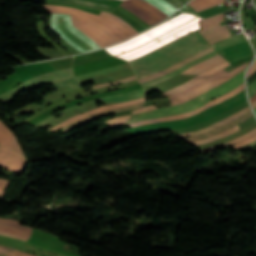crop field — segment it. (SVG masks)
<instances>
[{
    "mask_svg": "<svg viewBox=\"0 0 256 256\" xmlns=\"http://www.w3.org/2000/svg\"><path fill=\"white\" fill-rule=\"evenodd\" d=\"M255 140H256V134H255L254 136H252L251 138H249V139L243 140V141H241V142H238V143L232 145V147H234L235 149H237V148H239V147H241V146H243V145H246V144H248V143H250V142H253V141H255Z\"/></svg>",
    "mask_w": 256,
    "mask_h": 256,
    "instance_id": "30",
    "label": "crop field"
},
{
    "mask_svg": "<svg viewBox=\"0 0 256 256\" xmlns=\"http://www.w3.org/2000/svg\"><path fill=\"white\" fill-rule=\"evenodd\" d=\"M199 32L209 44L231 36L228 33L225 25L220 26L219 23L214 26L199 30Z\"/></svg>",
    "mask_w": 256,
    "mask_h": 256,
    "instance_id": "13",
    "label": "crop field"
},
{
    "mask_svg": "<svg viewBox=\"0 0 256 256\" xmlns=\"http://www.w3.org/2000/svg\"><path fill=\"white\" fill-rule=\"evenodd\" d=\"M218 52L222 56H224L229 62L235 61V60H238V59H242V58L248 57V56L253 54L252 49H251V47H250V45L248 44L247 41L243 42V43H240V44L232 45V46L227 47V48H225L223 50H220ZM238 61H240V60H238ZM238 61H235V62H238ZM232 63H234V62H232Z\"/></svg>",
    "mask_w": 256,
    "mask_h": 256,
    "instance_id": "11",
    "label": "crop field"
},
{
    "mask_svg": "<svg viewBox=\"0 0 256 256\" xmlns=\"http://www.w3.org/2000/svg\"><path fill=\"white\" fill-rule=\"evenodd\" d=\"M146 1L156 6L158 9H160L162 12H164L168 16L177 10L174 7L167 4L166 2H164L163 0H146Z\"/></svg>",
    "mask_w": 256,
    "mask_h": 256,
    "instance_id": "24",
    "label": "crop field"
},
{
    "mask_svg": "<svg viewBox=\"0 0 256 256\" xmlns=\"http://www.w3.org/2000/svg\"><path fill=\"white\" fill-rule=\"evenodd\" d=\"M239 130V126H234L233 128L229 129V130H226L224 132H221V133H218L212 137H209V138H206V139H203V140H196V141H190V143L194 144V145H198V144H203V143H208V142H211L213 140H216L218 138H221V137H225L231 133H234L236 131Z\"/></svg>",
    "mask_w": 256,
    "mask_h": 256,
    "instance_id": "23",
    "label": "crop field"
},
{
    "mask_svg": "<svg viewBox=\"0 0 256 256\" xmlns=\"http://www.w3.org/2000/svg\"><path fill=\"white\" fill-rule=\"evenodd\" d=\"M198 20H200L199 17L183 24L182 26L174 29L173 31L135 49V50H132V51H128V52H125V53H122V54H119V55H116L120 58H124L128 61L130 60H133V59H136L140 56H143L153 50H155L156 48L184 35V34H187L191 31H194V30H197L199 29V25H198Z\"/></svg>",
    "mask_w": 256,
    "mask_h": 256,
    "instance_id": "5",
    "label": "crop field"
},
{
    "mask_svg": "<svg viewBox=\"0 0 256 256\" xmlns=\"http://www.w3.org/2000/svg\"><path fill=\"white\" fill-rule=\"evenodd\" d=\"M224 14V13H223ZM223 14H222V21H223Z\"/></svg>",
    "mask_w": 256,
    "mask_h": 256,
    "instance_id": "42",
    "label": "crop field"
},
{
    "mask_svg": "<svg viewBox=\"0 0 256 256\" xmlns=\"http://www.w3.org/2000/svg\"><path fill=\"white\" fill-rule=\"evenodd\" d=\"M143 96H145L144 89H139L137 91H130V92L115 95V96L103 97L102 100L105 103L110 104V103L130 100V99H137Z\"/></svg>",
    "mask_w": 256,
    "mask_h": 256,
    "instance_id": "19",
    "label": "crop field"
},
{
    "mask_svg": "<svg viewBox=\"0 0 256 256\" xmlns=\"http://www.w3.org/2000/svg\"><path fill=\"white\" fill-rule=\"evenodd\" d=\"M0 230L27 236V237H30V235H31V232H29V231H25L22 229H18V228L6 226V225H0Z\"/></svg>",
    "mask_w": 256,
    "mask_h": 256,
    "instance_id": "26",
    "label": "crop field"
},
{
    "mask_svg": "<svg viewBox=\"0 0 256 256\" xmlns=\"http://www.w3.org/2000/svg\"><path fill=\"white\" fill-rule=\"evenodd\" d=\"M244 71L245 69L239 72L238 74H236L233 78H231L226 83L183 104L173 106V107L159 108V109H156L153 105H150V106L142 107L141 109H138V110L130 111L131 115L117 117V118L108 120L106 122L112 128H114L117 126H121L122 124L133 122V121L145 120V119H150L155 117H162V116H168V115H174V114L192 111L204 105L211 99L229 92L231 89L235 88L236 86L244 82V78H243Z\"/></svg>",
    "mask_w": 256,
    "mask_h": 256,
    "instance_id": "2",
    "label": "crop field"
},
{
    "mask_svg": "<svg viewBox=\"0 0 256 256\" xmlns=\"http://www.w3.org/2000/svg\"><path fill=\"white\" fill-rule=\"evenodd\" d=\"M255 113H256V109H254Z\"/></svg>",
    "mask_w": 256,
    "mask_h": 256,
    "instance_id": "43",
    "label": "crop field"
},
{
    "mask_svg": "<svg viewBox=\"0 0 256 256\" xmlns=\"http://www.w3.org/2000/svg\"><path fill=\"white\" fill-rule=\"evenodd\" d=\"M251 105H252L253 109L256 108V101Z\"/></svg>",
    "mask_w": 256,
    "mask_h": 256,
    "instance_id": "41",
    "label": "crop field"
},
{
    "mask_svg": "<svg viewBox=\"0 0 256 256\" xmlns=\"http://www.w3.org/2000/svg\"><path fill=\"white\" fill-rule=\"evenodd\" d=\"M70 76H73L71 67L67 68V69H63V70L49 72L47 74H42L34 79H31L29 81H26V82L20 84L17 87H15L14 89L0 95V100L9 102V101H11V99L13 97H15L22 90L39 87L40 85H42L46 82H50V81H54L57 79L70 77Z\"/></svg>",
    "mask_w": 256,
    "mask_h": 256,
    "instance_id": "7",
    "label": "crop field"
},
{
    "mask_svg": "<svg viewBox=\"0 0 256 256\" xmlns=\"http://www.w3.org/2000/svg\"><path fill=\"white\" fill-rule=\"evenodd\" d=\"M224 147H226V143L221 144V145H217V146H214V147L202 149V150L205 151V152H208V151H213V150L221 149V148H224Z\"/></svg>",
    "mask_w": 256,
    "mask_h": 256,
    "instance_id": "34",
    "label": "crop field"
},
{
    "mask_svg": "<svg viewBox=\"0 0 256 256\" xmlns=\"http://www.w3.org/2000/svg\"><path fill=\"white\" fill-rule=\"evenodd\" d=\"M10 250H12V248L0 245V255L4 256V254Z\"/></svg>",
    "mask_w": 256,
    "mask_h": 256,
    "instance_id": "37",
    "label": "crop field"
},
{
    "mask_svg": "<svg viewBox=\"0 0 256 256\" xmlns=\"http://www.w3.org/2000/svg\"><path fill=\"white\" fill-rule=\"evenodd\" d=\"M145 98V97H144ZM144 98H140V99H137V100H134V101H128V102H122V103H118V104H114V105H105V106H101L97 109H94L92 111H89V112H85V113H81L75 117H72L52 128H50V130H57L61 127H64L76 120H79L87 115H90V114H94V113H98V112H102V111H105V110H108V109H113V108H118V107H121V106H125V105H129V104H134V103H140V102H143L144 101Z\"/></svg>",
    "mask_w": 256,
    "mask_h": 256,
    "instance_id": "12",
    "label": "crop field"
},
{
    "mask_svg": "<svg viewBox=\"0 0 256 256\" xmlns=\"http://www.w3.org/2000/svg\"><path fill=\"white\" fill-rule=\"evenodd\" d=\"M255 133H256V129H254V130L248 132L247 134H245V135H243V136H241V137H239V138H237V139H234V140L229 141V142H228V146H229V145H232V144H234V143H236V142H238V141H240V140L246 139V138L250 137L251 135H253V134H255Z\"/></svg>",
    "mask_w": 256,
    "mask_h": 256,
    "instance_id": "29",
    "label": "crop field"
},
{
    "mask_svg": "<svg viewBox=\"0 0 256 256\" xmlns=\"http://www.w3.org/2000/svg\"><path fill=\"white\" fill-rule=\"evenodd\" d=\"M228 65H230V63L228 61H226V62H224V63H222V64H220V65H218V66H216V67H214V68H212V69H210V70H208V71H206V72H204V73H202V74H200L198 76H196L195 78H193V79H191V80L181 84L180 86H178V87H176V88H174L172 90H169V91H167L165 93H162V94H164L166 96H169V95H173V94H175L177 92H180V91H182V90H184V89L194 85L195 83H197L201 79H203V78H205V77L215 73L216 71H218L220 69L225 68Z\"/></svg>",
    "mask_w": 256,
    "mask_h": 256,
    "instance_id": "14",
    "label": "crop field"
},
{
    "mask_svg": "<svg viewBox=\"0 0 256 256\" xmlns=\"http://www.w3.org/2000/svg\"><path fill=\"white\" fill-rule=\"evenodd\" d=\"M167 1H169L171 4H173L177 8L181 7L187 2L185 0H167Z\"/></svg>",
    "mask_w": 256,
    "mask_h": 256,
    "instance_id": "32",
    "label": "crop field"
},
{
    "mask_svg": "<svg viewBox=\"0 0 256 256\" xmlns=\"http://www.w3.org/2000/svg\"><path fill=\"white\" fill-rule=\"evenodd\" d=\"M256 100V94L250 99L251 103H253Z\"/></svg>",
    "mask_w": 256,
    "mask_h": 256,
    "instance_id": "40",
    "label": "crop field"
},
{
    "mask_svg": "<svg viewBox=\"0 0 256 256\" xmlns=\"http://www.w3.org/2000/svg\"><path fill=\"white\" fill-rule=\"evenodd\" d=\"M121 6L135 13L151 26L168 17L143 0H126L122 2Z\"/></svg>",
    "mask_w": 256,
    "mask_h": 256,
    "instance_id": "8",
    "label": "crop field"
},
{
    "mask_svg": "<svg viewBox=\"0 0 256 256\" xmlns=\"http://www.w3.org/2000/svg\"><path fill=\"white\" fill-rule=\"evenodd\" d=\"M26 162L24 154L0 145V168L21 174Z\"/></svg>",
    "mask_w": 256,
    "mask_h": 256,
    "instance_id": "9",
    "label": "crop field"
},
{
    "mask_svg": "<svg viewBox=\"0 0 256 256\" xmlns=\"http://www.w3.org/2000/svg\"><path fill=\"white\" fill-rule=\"evenodd\" d=\"M195 17L196 16H193L191 14L181 13L156 27L143 32L142 34H140L128 41L121 42V43L106 47V49L109 53L115 55V54H119V53H122V52H125L128 50L137 48V47L165 34L166 32L182 25L183 23H185Z\"/></svg>",
    "mask_w": 256,
    "mask_h": 256,
    "instance_id": "3",
    "label": "crop field"
},
{
    "mask_svg": "<svg viewBox=\"0 0 256 256\" xmlns=\"http://www.w3.org/2000/svg\"><path fill=\"white\" fill-rule=\"evenodd\" d=\"M51 28L53 31L68 42L71 46L80 52L90 51L100 48L93 40L85 36L72 25L70 15L65 14H52L51 15Z\"/></svg>",
    "mask_w": 256,
    "mask_h": 256,
    "instance_id": "4",
    "label": "crop field"
},
{
    "mask_svg": "<svg viewBox=\"0 0 256 256\" xmlns=\"http://www.w3.org/2000/svg\"><path fill=\"white\" fill-rule=\"evenodd\" d=\"M0 144L10 149L22 152L13 132L0 122Z\"/></svg>",
    "mask_w": 256,
    "mask_h": 256,
    "instance_id": "16",
    "label": "crop field"
},
{
    "mask_svg": "<svg viewBox=\"0 0 256 256\" xmlns=\"http://www.w3.org/2000/svg\"><path fill=\"white\" fill-rule=\"evenodd\" d=\"M244 89V83H242L241 85H239L238 87H236L234 90H232L231 92L218 97L212 101H210L209 103L205 104L204 106L189 112V113H185V114H180V115H175V116H170V117H164V118H158V119H151V120H146V121H142V122H138V123H133V124H128L129 126L133 127V126H140V125H144V124H149V123H155V122H160V121H165V120H171V119H177V118H183V117H188V116H192L195 115L197 113H199L200 111H202L203 109L210 107L212 105H215L227 98H230L234 95H236L237 93H239L241 90Z\"/></svg>",
    "mask_w": 256,
    "mask_h": 256,
    "instance_id": "10",
    "label": "crop field"
},
{
    "mask_svg": "<svg viewBox=\"0 0 256 256\" xmlns=\"http://www.w3.org/2000/svg\"><path fill=\"white\" fill-rule=\"evenodd\" d=\"M48 84L56 87L57 89H61V88L73 86V85L77 84V82L74 79V77H70V78H65V79H62V80L54 81V82H51V83H48Z\"/></svg>",
    "mask_w": 256,
    "mask_h": 256,
    "instance_id": "25",
    "label": "crop field"
},
{
    "mask_svg": "<svg viewBox=\"0 0 256 256\" xmlns=\"http://www.w3.org/2000/svg\"><path fill=\"white\" fill-rule=\"evenodd\" d=\"M135 79H136V75L125 78V79H122V80H119V81L106 82V83H102V84H99V85H95V86H93V88L96 89V88L106 87V86H111V85H119V84L129 82V81H132V80H135Z\"/></svg>",
    "mask_w": 256,
    "mask_h": 256,
    "instance_id": "27",
    "label": "crop field"
},
{
    "mask_svg": "<svg viewBox=\"0 0 256 256\" xmlns=\"http://www.w3.org/2000/svg\"><path fill=\"white\" fill-rule=\"evenodd\" d=\"M73 56L54 59L52 61L41 62L40 65L42 66L45 72L63 69L71 66V60Z\"/></svg>",
    "mask_w": 256,
    "mask_h": 256,
    "instance_id": "20",
    "label": "crop field"
},
{
    "mask_svg": "<svg viewBox=\"0 0 256 256\" xmlns=\"http://www.w3.org/2000/svg\"><path fill=\"white\" fill-rule=\"evenodd\" d=\"M222 2L224 0H193L188 5L199 12Z\"/></svg>",
    "mask_w": 256,
    "mask_h": 256,
    "instance_id": "21",
    "label": "crop field"
},
{
    "mask_svg": "<svg viewBox=\"0 0 256 256\" xmlns=\"http://www.w3.org/2000/svg\"><path fill=\"white\" fill-rule=\"evenodd\" d=\"M0 224L11 225V226H15V227H18V228H22V229H26V230H30V231H32V229H31V228H29V227H25V226H22V225H18V224L5 223V222H0Z\"/></svg>",
    "mask_w": 256,
    "mask_h": 256,
    "instance_id": "35",
    "label": "crop field"
},
{
    "mask_svg": "<svg viewBox=\"0 0 256 256\" xmlns=\"http://www.w3.org/2000/svg\"><path fill=\"white\" fill-rule=\"evenodd\" d=\"M247 65H248V63H246L240 67H237L230 73L221 70V71L213 74L212 76L200 81L199 83L192 86L191 88L169 97V99L171 100L172 105L179 104V103L185 102L189 99H192V98L200 95L201 93L229 80L236 73H238L239 71H241L242 69L247 67Z\"/></svg>",
    "mask_w": 256,
    "mask_h": 256,
    "instance_id": "6",
    "label": "crop field"
},
{
    "mask_svg": "<svg viewBox=\"0 0 256 256\" xmlns=\"http://www.w3.org/2000/svg\"><path fill=\"white\" fill-rule=\"evenodd\" d=\"M5 256H30L17 250L8 252Z\"/></svg>",
    "mask_w": 256,
    "mask_h": 256,
    "instance_id": "33",
    "label": "crop field"
},
{
    "mask_svg": "<svg viewBox=\"0 0 256 256\" xmlns=\"http://www.w3.org/2000/svg\"><path fill=\"white\" fill-rule=\"evenodd\" d=\"M248 71H249V70H248ZM254 71H256V61H255V63L251 66L250 71H249V73H248V77H249Z\"/></svg>",
    "mask_w": 256,
    "mask_h": 256,
    "instance_id": "39",
    "label": "crop field"
},
{
    "mask_svg": "<svg viewBox=\"0 0 256 256\" xmlns=\"http://www.w3.org/2000/svg\"><path fill=\"white\" fill-rule=\"evenodd\" d=\"M61 1H68V2H73V3H78V4L97 6V7L108 8V9L113 10V8L108 7V6H106V5L91 3V2H88V1H84V0H61Z\"/></svg>",
    "mask_w": 256,
    "mask_h": 256,
    "instance_id": "28",
    "label": "crop field"
},
{
    "mask_svg": "<svg viewBox=\"0 0 256 256\" xmlns=\"http://www.w3.org/2000/svg\"><path fill=\"white\" fill-rule=\"evenodd\" d=\"M0 234L12 236V237H15V238H18V239H21V240H27L28 239L26 237H21V236H17V235H14V234L6 233V232H1V231H0Z\"/></svg>",
    "mask_w": 256,
    "mask_h": 256,
    "instance_id": "38",
    "label": "crop field"
},
{
    "mask_svg": "<svg viewBox=\"0 0 256 256\" xmlns=\"http://www.w3.org/2000/svg\"><path fill=\"white\" fill-rule=\"evenodd\" d=\"M248 111H250V109H249V107H246V108H244V109L238 111V112L235 113L234 115L229 116V117H227V118H224V119H222V120H220V121H218V122H216V123H214V124H212V125H210V126L204 128V129L196 130V131H191V132H187V133H181V135H182L183 137H187V136L202 134V133L211 131V130H213V129L219 127V126H222V125H224V124H226V123H229V122H231V121L237 119L239 116H241L242 114H244V113H246V112H248Z\"/></svg>",
    "mask_w": 256,
    "mask_h": 256,
    "instance_id": "15",
    "label": "crop field"
},
{
    "mask_svg": "<svg viewBox=\"0 0 256 256\" xmlns=\"http://www.w3.org/2000/svg\"><path fill=\"white\" fill-rule=\"evenodd\" d=\"M7 182H8V180H6V179H0V196L7 184Z\"/></svg>",
    "mask_w": 256,
    "mask_h": 256,
    "instance_id": "36",
    "label": "crop field"
},
{
    "mask_svg": "<svg viewBox=\"0 0 256 256\" xmlns=\"http://www.w3.org/2000/svg\"><path fill=\"white\" fill-rule=\"evenodd\" d=\"M245 37L243 34L241 35H238V36H234V37H230V38H227L225 40H222L220 42H217L215 44H212L211 46L215 49V50H218V49H221V48H224V47H227L229 45H232V44H235V43H239V42H243L245 41Z\"/></svg>",
    "mask_w": 256,
    "mask_h": 256,
    "instance_id": "22",
    "label": "crop field"
},
{
    "mask_svg": "<svg viewBox=\"0 0 256 256\" xmlns=\"http://www.w3.org/2000/svg\"><path fill=\"white\" fill-rule=\"evenodd\" d=\"M213 50L214 49L212 47H210V48H208V49H206V50H204L202 52H199V53H197V54H195V55H193L191 57H188V58L184 59L183 61L173 65L172 67H170L167 70L161 71V72H159L157 74H154V75H151V76H147V77L141 78L138 81H140V83H142V82L149 81L151 79L157 78L159 76H162L164 74H167L169 72H172V71L176 70L178 67L182 66L183 64L188 63V62H190V61H192V60H194V59H196V58H198L200 56H203V55H205V54H207V53H209V52H211Z\"/></svg>",
    "mask_w": 256,
    "mask_h": 256,
    "instance_id": "17",
    "label": "crop field"
},
{
    "mask_svg": "<svg viewBox=\"0 0 256 256\" xmlns=\"http://www.w3.org/2000/svg\"><path fill=\"white\" fill-rule=\"evenodd\" d=\"M248 97H252L256 93V80L247 86Z\"/></svg>",
    "mask_w": 256,
    "mask_h": 256,
    "instance_id": "31",
    "label": "crop field"
},
{
    "mask_svg": "<svg viewBox=\"0 0 256 256\" xmlns=\"http://www.w3.org/2000/svg\"><path fill=\"white\" fill-rule=\"evenodd\" d=\"M210 45L195 32L178 38L169 44L133 61H130L138 78L156 73L195 54Z\"/></svg>",
    "mask_w": 256,
    "mask_h": 256,
    "instance_id": "1",
    "label": "crop field"
},
{
    "mask_svg": "<svg viewBox=\"0 0 256 256\" xmlns=\"http://www.w3.org/2000/svg\"><path fill=\"white\" fill-rule=\"evenodd\" d=\"M216 54H218L216 51H214V52H212V53H209V54L205 55L204 57H200V58L194 60L193 62H191V63H189V64H186V65L180 67L179 69H177V70L174 71L173 73L167 74V75H165V76H163V77H160V78H158V79L152 80V81H150V82L143 83L142 85H143L144 87H146V86H150V85H153V84H155V83L164 81V80H166V79H169V78L175 76L176 74H178V73H180V72H182V71L188 69L189 67H191V66H193V65H195V64H197V63H199V62H202V61H204V60H206V59H208V58H210V57H212V56H214V55H216Z\"/></svg>",
    "mask_w": 256,
    "mask_h": 256,
    "instance_id": "18",
    "label": "crop field"
}]
</instances>
